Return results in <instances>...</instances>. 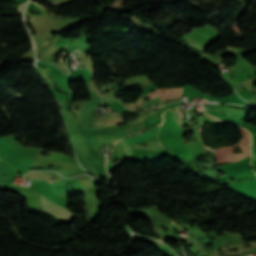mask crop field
Segmentation results:
<instances>
[{
	"label": "crop field",
	"instance_id": "crop-field-3",
	"mask_svg": "<svg viewBox=\"0 0 256 256\" xmlns=\"http://www.w3.org/2000/svg\"><path fill=\"white\" fill-rule=\"evenodd\" d=\"M26 177H28L29 180H49L51 175L41 173V172H29ZM42 196H41V198H42L43 209L63 218L65 220L68 219L69 217H71L72 215H74V214L70 213L69 210L61 208V207L51 203L50 201H48L47 199H45Z\"/></svg>",
	"mask_w": 256,
	"mask_h": 256
},
{
	"label": "crop field",
	"instance_id": "crop-field-5",
	"mask_svg": "<svg viewBox=\"0 0 256 256\" xmlns=\"http://www.w3.org/2000/svg\"><path fill=\"white\" fill-rule=\"evenodd\" d=\"M158 129H159V126H156L141 135H137V136L128 138L125 141L127 142L128 145L134 144V143L146 142V141L150 140L151 138L157 136Z\"/></svg>",
	"mask_w": 256,
	"mask_h": 256
},
{
	"label": "crop field",
	"instance_id": "crop-field-2",
	"mask_svg": "<svg viewBox=\"0 0 256 256\" xmlns=\"http://www.w3.org/2000/svg\"><path fill=\"white\" fill-rule=\"evenodd\" d=\"M0 159L12 165L23 173H26L31 164L34 162V160L32 159L24 158L14 152L10 148L6 137L0 138Z\"/></svg>",
	"mask_w": 256,
	"mask_h": 256
},
{
	"label": "crop field",
	"instance_id": "crop-field-1",
	"mask_svg": "<svg viewBox=\"0 0 256 256\" xmlns=\"http://www.w3.org/2000/svg\"><path fill=\"white\" fill-rule=\"evenodd\" d=\"M239 128V127H238ZM241 131V136L244 138L241 139V143L220 148L216 150V165L218 163L226 162H237L247 156H249V145H250V134L243 128H239ZM234 146H239L243 153L234 154L232 153Z\"/></svg>",
	"mask_w": 256,
	"mask_h": 256
},
{
	"label": "crop field",
	"instance_id": "crop-field-4",
	"mask_svg": "<svg viewBox=\"0 0 256 256\" xmlns=\"http://www.w3.org/2000/svg\"><path fill=\"white\" fill-rule=\"evenodd\" d=\"M228 186L230 190L245 198L250 199L256 196V176L247 181L229 183Z\"/></svg>",
	"mask_w": 256,
	"mask_h": 256
},
{
	"label": "crop field",
	"instance_id": "crop-field-7",
	"mask_svg": "<svg viewBox=\"0 0 256 256\" xmlns=\"http://www.w3.org/2000/svg\"><path fill=\"white\" fill-rule=\"evenodd\" d=\"M170 113L173 116V118L175 119L178 126H181L182 125L181 119L184 118L183 109L177 108L174 110H170Z\"/></svg>",
	"mask_w": 256,
	"mask_h": 256
},
{
	"label": "crop field",
	"instance_id": "crop-field-11",
	"mask_svg": "<svg viewBox=\"0 0 256 256\" xmlns=\"http://www.w3.org/2000/svg\"><path fill=\"white\" fill-rule=\"evenodd\" d=\"M203 114H205V113H203ZM203 114H202V115H203ZM205 115H206V114H205ZM205 115H204V117L207 116V115H206V116H205ZM208 117H209V116H208ZM206 118H207V117H206ZM210 118H211V117H210ZM208 119H209V118H208ZM212 119H213V118H212ZM212 119H211V120H212ZM214 120H217V119H214ZM214 120H213V121H214ZM217 121H219V120H217ZM217 121H216V122H217ZM220 122H222V121H220ZM220 122H218V123H220ZM222 123H224V122H222Z\"/></svg>",
	"mask_w": 256,
	"mask_h": 256
},
{
	"label": "crop field",
	"instance_id": "crop-field-12",
	"mask_svg": "<svg viewBox=\"0 0 256 256\" xmlns=\"http://www.w3.org/2000/svg\"><path fill=\"white\" fill-rule=\"evenodd\" d=\"M251 200L256 201V197H255V198H253V199H251Z\"/></svg>",
	"mask_w": 256,
	"mask_h": 256
},
{
	"label": "crop field",
	"instance_id": "crop-field-8",
	"mask_svg": "<svg viewBox=\"0 0 256 256\" xmlns=\"http://www.w3.org/2000/svg\"><path fill=\"white\" fill-rule=\"evenodd\" d=\"M120 143H121L122 148L125 150L127 157L130 156V155H132V154H134V153L131 151V149L126 145L124 139L120 140Z\"/></svg>",
	"mask_w": 256,
	"mask_h": 256
},
{
	"label": "crop field",
	"instance_id": "crop-field-10",
	"mask_svg": "<svg viewBox=\"0 0 256 256\" xmlns=\"http://www.w3.org/2000/svg\"><path fill=\"white\" fill-rule=\"evenodd\" d=\"M115 112H133V111L123 107Z\"/></svg>",
	"mask_w": 256,
	"mask_h": 256
},
{
	"label": "crop field",
	"instance_id": "crop-field-9",
	"mask_svg": "<svg viewBox=\"0 0 256 256\" xmlns=\"http://www.w3.org/2000/svg\"><path fill=\"white\" fill-rule=\"evenodd\" d=\"M116 146H117L119 152L121 153L122 157H126V156H125V153H124V150L121 148L119 142H117Z\"/></svg>",
	"mask_w": 256,
	"mask_h": 256
},
{
	"label": "crop field",
	"instance_id": "crop-field-6",
	"mask_svg": "<svg viewBox=\"0 0 256 256\" xmlns=\"http://www.w3.org/2000/svg\"><path fill=\"white\" fill-rule=\"evenodd\" d=\"M164 92L162 93L160 89L152 91L151 93L147 94V96L152 99L156 96L159 95L161 100L165 99H172V98H178L180 97V91L181 88L178 89H169V90H163Z\"/></svg>",
	"mask_w": 256,
	"mask_h": 256
}]
</instances>
